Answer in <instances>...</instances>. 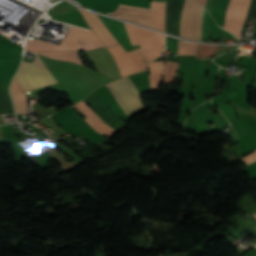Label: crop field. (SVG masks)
Here are the masks:
<instances>
[{
    "label": "crop field",
    "mask_w": 256,
    "mask_h": 256,
    "mask_svg": "<svg viewBox=\"0 0 256 256\" xmlns=\"http://www.w3.org/2000/svg\"><path fill=\"white\" fill-rule=\"evenodd\" d=\"M105 47L93 31L88 32L71 27L59 46L34 38H28L27 51L94 50Z\"/></svg>",
    "instance_id": "obj_1"
},
{
    "label": "crop field",
    "mask_w": 256,
    "mask_h": 256,
    "mask_svg": "<svg viewBox=\"0 0 256 256\" xmlns=\"http://www.w3.org/2000/svg\"><path fill=\"white\" fill-rule=\"evenodd\" d=\"M15 77L24 92L57 83L38 55L33 64L22 62Z\"/></svg>",
    "instance_id": "obj_2"
},
{
    "label": "crop field",
    "mask_w": 256,
    "mask_h": 256,
    "mask_svg": "<svg viewBox=\"0 0 256 256\" xmlns=\"http://www.w3.org/2000/svg\"><path fill=\"white\" fill-rule=\"evenodd\" d=\"M125 24V23H124ZM132 45H141L138 50L147 61L161 55L164 44V35L143 28L125 24Z\"/></svg>",
    "instance_id": "obj_3"
},
{
    "label": "crop field",
    "mask_w": 256,
    "mask_h": 256,
    "mask_svg": "<svg viewBox=\"0 0 256 256\" xmlns=\"http://www.w3.org/2000/svg\"><path fill=\"white\" fill-rule=\"evenodd\" d=\"M127 114L143 107L139 100V91L128 77L114 80L105 85Z\"/></svg>",
    "instance_id": "obj_4"
},
{
    "label": "crop field",
    "mask_w": 256,
    "mask_h": 256,
    "mask_svg": "<svg viewBox=\"0 0 256 256\" xmlns=\"http://www.w3.org/2000/svg\"><path fill=\"white\" fill-rule=\"evenodd\" d=\"M204 8L193 0H185L180 20V36L200 40L201 17Z\"/></svg>",
    "instance_id": "obj_5"
},
{
    "label": "crop field",
    "mask_w": 256,
    "mask_h": 256,
    "mask_svg": "<svg viewBox=\"0 0 256 256\" xmlns=\"http://www.w3.org/2000/svg\"><path fill=\"white\" fill-rule=\"evenodd\" d=\"M107 49L114 57L121 77L146 69L147 61L136 50L126 52L120 44Z\"/></svg>",
    "instance_id": "obj_6"
},
{
    "label": "crop field",
    "mask_w": 256,
    "mask_h": 256,
    "mask_svg": "<svg viewBox=\"0 0 256 256\" xmlns=\"http://www.w3.org/2000/svg\"><path fill=\"white\" fill-rule=\"evenodd\" d=\"M250 0H230L223 29L230 31L241 39V32Z\"/></svg>",
    "instance_id": "obj_7"
},
{
    "label": "crop field",
    "mask_w": 256,
    "mask_h": 256,
    "mask_svg": "<svg viewBox=\"0 0 256 256\" xmlns=\"http://www.w3.org/2000/svg\"><path fill=\"white\" fill-rule=\"evenodd\" d=\"M78 10L83 15L88 25L92 28V30L107 47L118 44L116 39L112 36V34L109 32V30L106 28V26L96 14L84 9Z\"/></svg>",
    "instance_id": "obj_8"
},
{
    "label": "crop field",
    "mask_w": 256,
    "mask_h": 256,
    "mask_svg": "<svg viewBox=\"0 0 256 256\" xmlns=\"http://www.w3.org/2000/svg\"><path fill=\"white\" fill-rule=\"evenodd\" d=\"M80 110H82L88 117L84 120L97 132L106 135L108 139L117 131L104 124L96 114L83 102L75 104ZM100 134V135H101Z\"/></svg>",
    "instance_id": "obj_9"
},
{
    "label": "crop field",
    "mask_w": 256,
    "mask_h": 256,
    "mask_svg": "<svg viewBox=\"0 0 256 256\" xmlns=\"http://www.w3.org/2000/svg\"><path fill=\"white\" fill-rule=\"evenodd\" d=\"M109 15H119V18L149 27V13L146 12L117 8L115 12L110 13Z\"/></svg>",
    "instance_id": "obj_10"
},
{
    "label": "crop field",
    "mask_w": 256,
    "mask_h": 256,
    "mask_svg": "<svg viewBox=\"0 0 256 256\" xmlns=\"http://www.w3.org/2000/svg\"><path fill=\"white\" fill-rule=\"evenodd\" d=\"M10 92L14 100L16 112L20 114H26L27 113V96L21 90L15 77L12 81Z\"/></svg>",
    "instance_id": "obj_11"
},
{
    "label": "crop field",
    "mask_w": 256,
    "mask_h": 256,
    "mask_svg": "<svg viewBox=\"0 0 256 256\" xmlns=\"http://www.w3.org/2000/svg\"><path fill=\"white\" fill-rule=\"evenodd\" d=\"M165 6L162 4L153 3L151 5V28L165 32L164 15Z\"/></svg>",
    "instance_id": "obj_12"
},
{
    "label": "crop field",
    "mask_w": 256,
    "mask_h": 256,
    "mask_svg": "<svg viewBox=\"0 0 256 256\" xmlns=\"http://www.w3.org/2000/svg\"><path fill=\"white\" fill-rule=\"evenodd\" d=\"M164 63H165V60L149 62L148 68L150 71V74H149L150 87L159 86L160 81L162 79Z\"/></svg>",
    "instance_id": "obj_13"
},
{
    "label": "crop field",
    "mask_w": 256,
    "mask_h": 256,
    "mask_svg": "<svg viewBox=\"0 0 256 256\" xmlns=\"http://www.w3.org/2000/svg\"><path fill=\"white\" fill-rule=\"evenodd\" d=\"M79 52H41L40 55H44L53 59H60L64 61L81 63V59L78 56Z\"/></svg>",
    "instance_id": "obj_14"
},
{
    "label": "crop field",
    "mask_w": 256,
    "mask_h": 256,
    "mask_svg": "<svg viewBox=\"0 0 256 256\" xmlns=\"http://www.w3.org/2000/svg\"><path fill=\"white\" fill-rule=\"evenodd\" d=\"M178 71V63L167 61L164 69V81L166 84L173 83Z\"/></svg>",
    "instance_id": "obj_15"
},
{
    "label": "crop field",
    "mask_w": 256,
    "mask_h": 256,
    "mask_svg": "<svg viewBox=\"0 0 256 256\" xmlns=\"http://www.w3.org/2000/svg\"><path fill=\"white\" fill-rule=\"evenodd\" d=\"M198 45L196 43L178 41V55H195Z\"/></svg>",
    "instance_id": "obj_16"
},
{
    "label": "crop field",
    "mask_w": 256,
    "mask_h": 256,
    "mask_svg": "<svg viewBox=\"0 0 256 256\" xmlns=\"http://www.w3.org/2000/svg\"><path fill=\"white\" fill-rule=\"evenodd\" d=\"M209 13L204 10L203 20H202V31H201V40L207 41L208 39V26H209Z\"/></svg>",
    "instance_id": "obj_17"
},
{
    "label": "crop field",
    "mask_w": 256,
    "mask_h": 256,
    "mask_svg": "<svg viewBox=\"0 0 256 256\" xmlns=\"http://www.w3.org/2000/svg\"><path fill=\"white\" fill-rule=\"evenodd\" d=\"M118 7L149 12V9H146V8H140V7L128 6V5H122V4H119Z\"/></svg>",
    "instance_id": "obj_18"
},
{
    "label": "crop field",
    "mask_w": 256,
    "mask_h": 256,
    "mask_svg": "<svg viewBox=\"0 0 256 256\" xmlns=\"http://www.w3.org/2000/svg\"><path fill=\"white\" fill-rule=\"evenodd\" d=\"M196 1L199 2L201 5L205 6L206 0H196Z\"/></svg>",
    "instance_id": "obj_19"
}]
</instances>
